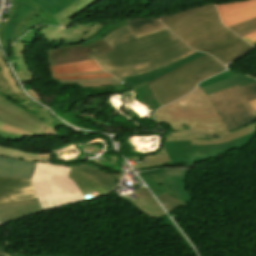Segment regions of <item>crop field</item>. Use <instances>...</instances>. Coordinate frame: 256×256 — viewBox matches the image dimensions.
<instances>
[{
    "instance_id": "crop-field-1",
    "label": "crop field",
    "mask_w": 256,
    "mask_h": 256,
    "mask_svg": "<svg viewBox=\"0 0 256 256\" xmlns=\"http://www.w3.org/2000/svg\"><path fill=\"white\" fill-rule=\"evenodd\" d=\"M102 39L113 50L94 58L118 79L152 71L195 52L168 29L137 38L125 26Z\"/></svg>"
},
{
    "instance_id": "crop-field-2",
    "label": "crop field",
    "mask_w": 256,
    "mask_h": 256,
    "mask_svg": "<svg viewBox=\"0 0 256 256\" xmlns=\"http://www.w3.org/2000/svg\"><path fill=\"white\" fill-rule=\"evenodd\" d=\"M155 121L173 131L165 141L191 140V144H218L256 131V123L229 133L216 109L200 88L156 111Z\"/></svg>"
},
{
    "instance_id": "crop-field-3",
    "label": "crop field",
    "mask_w": 256,
    "mask_h": 256,
    "mask_svg": "<svg viewBox=\"0 0 256 256\" xmlns=\"http://www.w3.org/2000/svg\"><path fill=\"white\" fill-rule=\"evenodd\" d=\"M159 20L192 49L212 54L224 65L253 48L222 25L214 4Z\"/></svg>"
},
{
    "instance_id": "crop-field-4",
    "label": "crop field",
    "mask_w": 256,
    "mask_h": 256,
    "mask_svg": "<svg viewBox=\"0 0 256 256\" xmlns=\"http://www.w3.org/2000/svg\"><path fill=\"white\" fill-rule=\"evenodd\" d=\"M25 103L36 112H28L0 93V137L15 141H22L26 136L55 137L59 132V126L63 123L55 119L47 109L33 101L29 100Z\"/></svg>"
},
{
    "instance_id": "crop-field-5",
    "label": "crop field",
    "mask_w": 256,
    "mask_h": 256,
    "mask_svg": "<svg viewBox=\"0 0 256 256\" xmlns=\"http://www.w3.org/2000/svg\"><path fill=\"white\" fill-rule=\"evenodd\" d=\"M225 70L217 60L205 54L155 80L148 85L160 106L192 91L199 81Z\"/></svg>"
},
{
    "instance_id": "crop-field-6",
    "label": "crop field",
    "mask_w": 256,
    "mask_h": 256,
    "mask_svg": "<svg viewBox=\"0 0 256 256\" xmlns=\"http://www.w3.org/2000/svg\"><path fill=\"white\" fill-rule=\"evenodd\" d=\"M71 166L37 162L32 180L43 209L83 200L74 181L68 178Z\"/></svg>"
},
{
    "instance_id": "crop-field-7",
    "label": "crop field",
    "mask_w": 256,
    "mask_h": 256,
    "mask_svg": "<svg viewBox=\"0 0 256 256\" xmlns=\"http://www.w3.org/2000/svg\"><path fill=\"white\" fill-rule=\"evenodd\" d=\"M209 97L229 131L256 121V112L249 102L256 99V82L242 88L237 85Z\"/></svg>"
},
{
    "instance_id": "crop-field-8",
    "label": "crop field",
    "mask_w": 256,
    "mask_h": 256,
    "mask_svg": "<svg viewBox=\"0 0 256 256\" xmlns=\"http://www.w3.org/2000/svg\"><path fill=\"white\" fill-rule=\"evenodd\" d=\"M254 134L255 132L218 145H190V141L165 142L164 148L172 163L192 164L226 154L234 148H242Z\"/></svg>"
},
{
    "instance_id": "crop-field-9",
    "label": "crop field",
    "mask_w": 256,
    "mask_h": 256,
    "mask_svg": "<svg viewBox=\"0 0 256 256\" xmlns=\"http://www.w3.org/2000/svg\"><path fill=\"white\" fill-rule=\"evenodd\" d=\"M40 12L28 0H13L8 24L0 22V40H17L31 29L27 22Z\"/></svg>"
},
{
    "instance_id": "crop-field-10",
    "label": "crop field",
    "mask_w": 256,
    "mask_h": 256,
    "mask_svg": "<svg viewBox=\"0 0 256 256\" xmlns=\"http://www.w3.org/2000/svg\"><path fill=\"white\" fill-rule=\"evenodd\" d=\"M111 50V48L100 39L83 47L82 44L73 46H60L47 50L49 66L65 63L90 60L96 54Z\"/></svg>"
},
{
    "instance_id": "crop-field-11",
    "label": "crop field",
    "mask_w": 256,
    "mask_h": 256,
    "mask_svg": "<svg viewBox=\"0 0 256 256\" xmlns=\"http://www.w3.org/2000/svg\"><path fill=\"white\" fill-rule=\"evenodd\" d=\"M102 28V24L94 22L78 25L68 30L49 27L40 32L45 36V41L55 42L64 40L66 45H73L81 43V41L95 35ZM92 29H94V31H92Z\"/></svg>"
},
{
    "instance_id": "crop-field-12",
    "label": "crop field",
    "mask_w": 256,
    "mask_h": 256,
    "mask_svg": "<svg viewBox=\"0 0 256 256\" xmlns=\"http://www.w3.org/2000/svg\"><path fill=\"white\" fill-rule=\"evenodd\" d=\"M142 179L155 196L166 191L186 203L194 198L185 191V177H168L163 174H156Z\"/></svg>"
},
{
    "instance_id": "crop-field-13",
    "label": "crop field",
    "mask_w": 256,
    "mask_h": 256,
    "mask_svg": "<svg viewBox=\"0 0 256 256\" xmlns=\"http://www.w3.org/2000/svg\"><path fill=\"white\" fill-rule=\"evenodd\" d=\"M226 27L256 17V0L216 5Z\"/></svg>"
},
{
    "instance_id": "crop-field-14",
    "label": "crop field",
    "mask_w": 256,
    "mask_h": 256,
    "mask_svg": "<svg viewBox=\"0 0 256 256\" xmlns=\"http://www.w3.org/2000/svg\"><path fill=\"white\" fill-rule=\"evenodd\" d=\"M37 197L30 179L0 178V202Z\"/></svg>"
},
{
    "instance_id": "crop-field-15",
    "label": "crop field",
    "mask_w": 256,
    "mask_h": 256,
    "mask_svg": "<svg viewBox=\"0 0 256 256\" xmlns=\"http://www.w3.org/2000/svg\"><path fill=\"white\" fill-rule=\"evenodd\" d=\"M100 66L94 61H84L71 64H65L60 66L50 67L51 75L54 80L56 79H89V78H101L111 76L108 73L95 74V75H81V76H57L56 74L62 73H74V72H88V71H101Z\"/></svg>"
},
{
    "instance_id": "crop-field-16",
    "label": "crop field",
    "mask_w": 256,
    "mask_h": 256,
    "mask_svg": "<svg viewBox=\"0 0 256 256\" xmlns=\"http://www.w3.org/2000/svg\"><path fill=\"white\" fill-rule=\"evenodd\" d=\"M40 210L37 198L16 202H2L0 203V224Z\"/></svg>"
},
{
    "instance_id": "crop-field-17",
    "label": "crop field",
    "mask_w": 256,
    "mask_h": 256,
    "mask_svg": "<svg viewBox=\"0 0 256 256\" xmlns=\"http://www.w3.org/2000/svg\"><path fill=\"white\" fill-rule=\"evenodd\" d=\"M35 162L0 156V177L30 178Z\"/></svg>"
},
{
    "instance_id": "crop-field-18",
    "label": "crop field",
    "mask_w": 256,
    "mask_h": 256,
    "mask_svg": "<svg viewBox=\"0 0 256 256\" xmlns=\"http://www.w3.org/2000/svg\"><path fill=\"white\" fill-rule=\"evenodd\" d=\"M205 53H199V52H195L183 59H180L176 62H173L171 64H168L160 69H157L155 71H152V72H148V73H144V74H140V75H136V76H132V77H128V78H124V79H120L122 81H124L125 83H127L128 85H130L131 87L135 86V85H138V84H141V83H145L149 80H152V79H155L157 77H159L160 75L176 68V67H179L180 65L198 57V56H201Z\"/></svg>"
},
{
    "instance_id": "crop-field-19",
    "label": "crop field",
    "mask_w": 256,
    "mask_h": 256,
    "mask_svg": "<svg viewBox=\"0 0 256 256\" xmlns=\"http://www.w3.org/2000/svg\"><path fill=\"white\" fill-rule=\"evenodd\" d=\"M69 178L73 179L76 185L82 191L83 195H88L89 198L109 193L92 177L78 170L72 169L69 174Z\"/></svg>"
},
{
    "instance_id": "crop-field-20",
    "label": "crop field",
    "mask_w": 256,
    "mask_h": 256,
    "mask_svg": "<svg viewBox=\"0 0 256 256\" xmlns=\"http://www.w3.org/2000/svg\"><path fill=\"white\" fill-rule=\"evenodd\" d=\"M134 194L139 198L131 201V203L152 219L166 214L146 188L138 189L134 191Z\"/></svg>"
},
{
    "instance_id": "crop-field-21",
    "label": "crop field",
    "mask_w": 256,
    "mask_h": 256,
    "mask_svg": "<svg viewBox=\"0 0 256 256\" xmlns=\"http://www.w3.org/2000/svg\"><path fill=\"white\" fill-rule=\"evenodd\" d=\"M137 37L148 35L166 29L157 19H130L125 20Z\"/></svg>"
},
{
    "instance_id": "crop-field-22",
    "label": "crop field",
    "mask_w": 256,
    "mask_h": 256,
    "mask_svg": "<svg viewBox=\"0 0 256 256\" xmlns=\"http://www.w3.org/2000/svg\"><path fill=\"white\" fill-rule=\"evenodd\" d=\"M95 0H80L74 3L72 6L65 8L54 17L60 23L62 27L68 25L69 20L78 12L86 9L90 6Z\"/></svg>"
},
{
    "instance_id": "crop-field-23",
    "label": "crop field",
    "mask_w": 256,
    "mask_h": 256,
    "mask_svg": "<svg viewBox=\"0 0 256 256\" xmlns=\"http://www.w3.org/2000/svg\"><path fill=\"white\" fill-rule=\"evenodd\" d=\"M255 81L256 80L253 78L240 75V76L232 77V78L220 81L218 83L203 87V89L207 94H210V93H214L237 84H239L240 87H242L247 84L253 83Z\"/></svg>"
},
{
    "instance_id": "crop-field-24",
    "label": "crop field",
    "mask_w": 256,
    "mask_h": 256,
    "mask_svg": "<svg viewBox=\"0 0 256 256\" xmlns=\"http://www.w3.org/2000/svg\"><path fill=\"white\" fill-rule=\"evenodd\" d=\"M52 16L77 0H29Z\"/></svg>"
},
{
    "instance_id": "crop-field-25",
    "label": "crop field",
    "mask_w": 256,
    "mask_h": 256,
    "mask_svg": "<svg viewBox=\"0 0 256 256\" xmlns=\"http://www.w3.org/2000/svg\"><path fill=\"white\" fill-rule=\"evenodd\" d=\"M26 43L15 42L12 49V60L17 68V70L28 69L25 58H24V49Z\"/></svg>"
},
{
    "instance_id": "crop-field-26",
    "label": "crop field",
    "mask_w": 256,
    "mask_h": 256,
    "mask_svg": "<svg viewBox=\"0 0 256 256\" xmlns=\"http://www.w3.org/2000/svg\"><path fill=\"white\" fill-rule=\"evenodd\" d=\"M0 92L6 96H8L11 100L18 103L22 107L26 108L29 111L34 112L31 108H29L27 105H25L23 102L29 100V98L23 93V91H20L16 94H14L8 87V85H4L1 78H0Z\"/></svg>"
},
{
    "instance_id": "crop-field-27",
    "label": "crop field",
    "mask_w": 256,
    "mask_h": 256,
    "mask_svg": "<svg viewBox=\"0 0 256 256\" xmlns=\"http://www.w3.org/2000/svg\"><path fill=\"white\" fill-rule=\"evenodd\" d=\"M136 94L142 98L149 106H151L155 111L160 107L154 97L152 96L147 84H141L133 87Z\"/></svg>"
},
{
    "instance_id": "crop-field-28",
    "label": "crop field",
    "mask_w": 256,
    "mask_h": 256,
    "mask_svg": "<svg viewBox=\"0 0 256 256\" xmlns=\"http://www.w3.org/2000/svg\"><path fill=\"white\" fill-rule=\"evenodd\" d=\"M0 76L2 78V80L4 81L5 84H8L10 89L16 93L18 91H20V89L18 88L14 78L11 76L8 67L3 59V55L0 51Z\"/></svg>"
},
{
    "instance_id": "crop-field-29",
    "label": "crop field",
    "mask_w": 256,
    "mask_h": 256,
    "mask_svg": "<svg viewBox=\"0 0 256 256\" xmlns=\"http://www.w3.org/2000/svg\"><path fill=\"white\" fill-rule=\"evenodd\" d=\"M0 155L6 156V157H12L16 159H26L31 161H36L38 154L35 153H27V152H21L19 150L7 148L0 146Z\"/></svg>"
},
{
    "instance_id": "crop-field-30",
    "label": "crop field",
    "mask_w": 256,
    "mask_h": 256,
    "mask_svg": "<svg viewBox=\"0 0 256 256\" xmlns=\"http://www.w3.org/2000/svg\"><path fill=\"white\" fill-rule=\"evenodd\" d=\"M157 198L161 202V204H163V207L166 209V211L168 213L173 211L174 209L186 204V203L172 197L171 195H169L166 192L163 193L162 195L158 196Z\"/></svg>"
},
{
    "instance_id": "crop-field-31",
    "label": "crop field",
    "mask_w": 256,
    "mask_h": 256,
    "mask_svg": "<svg viewBox=\"0 0 256 256\" xmlns=\"http://www.w3.org/2000/svg\"><path fill=\"white\" fill-rule=\"evenodd\" d=\"M229 29L242 37L256 30V18L240 23L238 25L229 27Z\"/></svg>"
},
{
    "instance_id": "crop-field-32",
    "label": "crop field",
    "mask_w": 256,
    "mask_h": 256,
    "mask_svg": "<svg viewBox=\"0 0 256 256\" xmlns=\"http://www.w3.org/2000/svg\"><path fill=\"white\" fill-rule=\"evenodd\" d=\"M188 170H173V169H164V170H151V171H146L139 173L138 175L140 177L150 175V174H155V173H163L168 176H186Z\"/></svg>"
},
{
    "instance_id": "crop-field-33",
    "label": "crop field",
    "mask_w": 256,
    "mask_h": 256,
    "mask_svg": "<svg viewBox=\"0 0 256 256\" xmlns=\"http://www.w3.org/2000/svg\"><path fill=\"white\" fill-rule=\"evenodd\" d=\"M149 167L154 165H170V166H194L193 165H174L168 159L167 156H160V157H145Z\"/></svg>"
},
{
    "instance_id": "crop-field-34",
    "label": "crop field",
    "mask_w": 256,
    "mask_h": 256,
    "mask_svg": "<svg viewBox=\"0 0 256 256\" xmlns=\"http://www.w3.org/2000/svg\"><path fill=\"white\" fill-rule=\"evenodd\" d=\"M236 75H240V74H237V73H234V72H231V71H226V72H223V73H221V74H219L215 77H212L210 79H207V80L201 82L199 84V86L200 87L206 86V85H209V84L215 83L217 81H220V80L232 77V76H236Z\"/></svg>"
},
{
    "instance_id": "crop-field-35",
    "label": "crop field",
    "mask_w": 256,
    "mask_h": 256,
    "mask_svg": "<svg viewBox=\"0 0 256 256\" xmlns=\"http://www.w3.org/2000/svg\"><path fill=\"white\" fill-rule=\"evenodd\" d=\"M79 166H81V167H83V168H85L87 170H90V171L96 173L97 175H99L100 177H102L106 182H108L113 187V189L118 185L116 180H114L111 176H109V175H107L105 173L99 172V171H97V170H95V169H93V168H91L89 166H86V165L80 164Z\"/></svg>"
},
{
    "instance_id": "crop-field-36",
    "label": "crop field",
    "mask_w": 256,
    "mask_h": 256,
    "mask_svg": "<svg viewBox=\"0 0 256 256\" xmlns=\"http://www.w3.org/2000/svg\"><path fill=\"white\" fill-rule=\"evenodd\" d=\"M51 19H53L51 16L42 12L39 15L33 17V19L28 22V25L34 27L36 25H40L42 22L46 20H51Z\"/></svg>"
},
{
    "instance_id": "crop-field-37",
    "label": "crop field",
    "mask_w": 256,
    "mask_h": 256,
    "mask_svg": "<svg viewBox=\"0 0 256 256\" xmlns=\"http://www.w3.org/2000/svg\"><path fill=\"white\" fill-rule=\"evenodd\" d=\"M72 168H75V169H78V170H80V171H83V172L88 173V174L91 175L95 180H97L98 182H100L109 192H110L111 190H113L112 187H111L108 183H106L102 178H100L99 176H97V175H95V174H93V173H91V172H89V171H87V170H84V169H82V168H80V167L72 166Z\"/></svg>"
},
{
    "instance_id": "crop-field-38",
    "label": "crop field",
    "mask_w": 256,
    "mask_h": 256,
    "mask_svg": "<svg viewBox=\"0 0 256 256\" xmlns=\"http://www.w3.org/2000/svg\"><path fill=\"white\" fill-rule=\"evenodd\" d=\"M36 38H37L36 33L34 30H32L29 33H27L24 37L19 39V41L26 42V43H32Z\"/></svg>"
},
{
    "instance_id": "crop-field-39",
    "label": "crop field",
    "mask_w": 256,
    "mask_h": 256,
    "mask_svg": "<svg viewBox=\"0 0 256 256\" xmlns=\"http://www.w3.org/2000/svg\"><path fill=\"white\" fill-rule=\"evenodd\" d=\"M17 75L21 78V82L33 80L32 74L29 70L17 72Z\"/></svg>"
},
{
    "instance_id": "crop-field-40",
    "label": "crop field",
    "mask_w": 256,
    "mask_h": 256,
    "mask_svg": "<svg viewBox=\"0 0 256 256\" xmlns=\"http://www.w3.org/2000/svg\"><path fill=\"white\" fill-rule=\"evenodd\" d=\"M243 38L250 42L254 47L256 46V31Z\"/></svg>"
},
{
    "instance_id": "crop-field-41",
    "label": "crop field",
    "mask_w": 256,
    "mask_h": 256,
    "mask_svg": "<svg viewBox=\"0 0 256 256\" xmlns=\"http://www.w3.org/2000/svg\"><path fill=\"white\" fill-rule=\"evenodd\" d=\"M0 256H7L5 248L0 247ZM10 256H31V255H10ZM40 256H67V255H40Z\"/></svg>"
},
{
    "instance_id": "crop-field-42",
    "label": "crop field",
    "mask_w": 256,
    "mask_h": 256,
    "mask_svg": "<svg viewBox=\"0 0 256 256\" xmlns=\"http://www.w3.org/2000/svg\"><path fill=\"white\" fill-rule=\"evenodd\" d=\"M30 95L31 97L36 100L37 102L41 103L43 102L42 99L37 95V93L32 89H28L26 90Z\"/></svg>"
},
{
    "instance_id": "crop-field-43",
    "label": "crop field",
    "mask_w": 256,
    "mask_h": 256,
    "mask_svg": "<svg viewBox=\"0 0 256 256\" xmlns=\"http://www.w3.org/2000/svg\"><path fill=\"white\" fill-rule=\"evenodd\" d=\"M4 50V53L10 52L11 41H0Z\"/></svg>"
},
{
    "instance_id": "crop-field-44",
    "label": "crop field",
    "mask_w": 256,
    "mask_h": 256,
    "mask_svg": "<svg viewBox=\"0 0 256 256\" xmlns=\"http://www.w3.org/2000/svg\"><path fill=\"white\" fill-rule=\"evenodd\" d=\"M105 71H101V72H89V73H75V74H63V75H81V74H95V73H103Z\"/></svg>"
},
{
    "instance_id": "crop-field-45",
    "label": "crop field",
    "mask_w": 256,
    "mask_h": 256,
    "mask_svg": "<svg viewBox=\"0 0 256 256\" xmlns=\"http://www.w3.org/2000/svg\"><path fill=\"white\" fill-rule=\"evenodd\" d=\"M159 155H167L164 148H162L161 150H159L155 155L153 156H159Z\"/></svg>"
},
{
    "instance_id": "crop-field-46",
    "label": "crop field",
    "mask_w": 256,
    "mask_h": 256,
    "mask_svg": "<svg viewBox=\"0 0 256 256\" xmlns=\"http://www.w3.org/2000/svg\"><path fill=\"white\" fill-rule=\"evenodd\" d=\"M102 79H114V77L102 78ZM90 80H98V79H90ZM60 81H86V80H60Z\"/></svg>"
},
{
    "instance_id": "crop-field-47",
    "label": "crop field",
    "mask_w": 256,
    "mask_h": 256,
    "mask_svg": "<svg viewBox=\"0 0 256 256\" xmlns=\"http://www.w3.org/2000/svg\"><path fill=\"white\" fill-rule=\"evenodd\" d=\"M113 178H115L117 181L118 179L121 177V175L117 174V173H109Z\"/></svg>"
},
{
    "instance_id": "crop-field-48",
    "label": "crop field",
    "mask_w": 256,
    "mask_h": 256,
    "mask_svg": "<svg viewBox=\"0 0 256 256\" xmlns=\"http://www.w3.org/2000/svg\"><path fill=\"white\" fill-rule=\"evenodd\" d=\"M136 167L138 168H144V167H148L147 164H139V165H134L133 168L136 169Z\"/></svg>"
},
{
    "instance_id": "crop-field-49",
    "label": "crop field",
    "mask_w": 256,
    "mask_h": 256,
    "mask_svg": "<svg viewBox=\"0 0 256 256\" xmlns=\"http://www.w3.org/2000/svg\"><path fill=\"white\" fill-rule=\"evenodd\" d=\"M251 104H252V106L254 107V109H255V111H256V100L251 101Z\"/></svg>"
}]
</instances>
